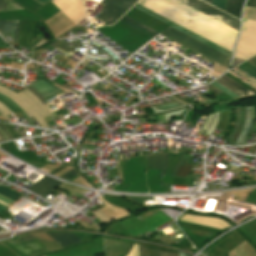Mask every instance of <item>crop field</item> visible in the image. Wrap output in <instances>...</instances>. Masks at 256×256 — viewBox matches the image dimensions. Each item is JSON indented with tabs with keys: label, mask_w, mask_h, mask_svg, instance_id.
Instances as JSON below:
<instances>
[{
	"label": "crop field",
	"mask_w": 256,
	"mask_h": 256,
	"mask_svg": "<svg viewBox=\"0 0 256 256\" xmlns=\"http://www.w3.org/2000/svg\"><path fill=\"white\" fill-rule=\"evenodd\" d=\"M0 92L8 96L14 102H16L26 113L29 117L33 116L37 122L40 124L41 127L49 128L45 121L41 118L52 116L50 111L43 105V103L36 98L33 94H31L26 88L20 91L17 95L16 93L12 92L11 90L1 87ZM37 110L39 115L30 104Z\"/></svg>",
	"instance_id": "obj_1"
},
{
	"label": "crop field",
	"mask_w": 256,
	"mask_h": 256,
	"mask_svg": "<svg viewBox=\"0 0 256 256\" xmlns=\"http://www.w3.org/2000/svg\"><path fill=\"white\" fill-rule=\"evenodd\" d=\"M160 33H162V34L182 43L183 45L205 55L206 57L228 67L230 57L182 34L181 32L168 26Z\"/></svg>",
	"instance_id": "obj_2"
},
{
	"label": "crop field",
	"mask_w": 256,
	"mask_h": 256,
	"mask_svg": "<svg viewBox=\"0 0 256 256\" xmlns=\"http://www.w3.org/2000/svg\"><path fill=\"white\" fill-rule=\"evenodd\" d=\"M84 1V0H83ZM137 0H103L107 3L96 19L112 24Z\"/></svg>",
	"instance_id": "obj_3"
},
{
	"label": "crop field",
	"mask_w": 256,
	"mask_h": 256,
	"mask_svg": "<svg viewBox=\"0 0 256 256\" xmlns=\"http://www.w3.org/2000/svg\"><path fill=\"white\" fill-rule=\"evenodd\" d=\"M183 3L209 15L210 17L238 30L239 29V21L214 9L213 7L199 1V0H180Z\"/></svg>",
	"instance_id": "obj_4"
},
{
	"label": "crop field",
	"mask_w": 256,
	"mask_h": 256,
	"mask_svg": "<svg viewBox=\"0 0 256 256\" xmlns=\"http://www.w3.org/2000/svg\"><path fill=\"white\" fill-rule=\"evenodd\" d=\"M134 8H136L137 10H139V11H141V12H143V13H145V14H147V15H149V16H151V17H153V18H155V19H157V20H159V21H161V22H163V23H165V24H167V25H169V26H171V27H173V28L191 36V37H193V38H195V39H197V40H199V41H201L202 43H204V44H206V45H208V46H210V47H212V48H214V49H216V50H218V51H220V52H222V53H224L228 56L231 55V52H229V51H227V50H225V49H223V48H221V47H219V46H217V45H215V44H213V43H211V42H209V41H207L203 38H201L200 36H198V35L190 32V31H188V30H186V29L168 21L167 19H165V18H163V17H161V16H159V15H157V14H155V13L137 5V4L134 6Z\"/></svg>",
	"instance_id": "obj_5"
},
{
	"label": "crop field",
	"mask_w": 256,
	"mask_h": 256,
	"mask_svg": "<svg viewBox=\"0 0 256 256\" xmlns=\"http://www.w3.org/2000/svg\"><path fill=\"white\" fill-rule=\"evenodd\" d=\"M61 184L63 183L45 176L41 180H39L37 183L29 187L27 190L42 197Z\"/></svg>",
	"instance_id": "obj_6"
},
{
	"label": "crop field",
	"mask_w": 256,
	"mask_h": 256,
	"mask_svg": "<svg viewBox=\"0 0 256 256\" xmlns=\"http://www.w3.org/2000/svg\"><path fill=\"white\" fill-rule=\"evenodd\" d=\"M56 85L52 82H49L43 78H40L29 85L32 89L36 90L43 98L56 93L62 89L54 87Z\"/></svg>",
	"instance_id": "obj_7"
},
{
	"label": "crop field",
	"mask_w": 256,
	"mask_h": 256,
	"mask_svg": "<svg viewBox=\"0 0 256 256\" xmlns=\"http://www.w3.org/2000/svg\"><path fill=\"white\" fill-rule=\"evenodd\" d=\"M245 110H246V122L235 145H244L253 128V123H254L253 107H245Z\"/></svg>",
	"instance_id": "obj_8"
},
{
	"label": "crop field",
	"mask_w": 256,
	"mask_h": 256,
	"mask_svg": "<svg viewBox=\"0 0 256 256\" xmlns=\"http://www.w3.org/2000/svg\"><path fill=\"white\" fill-rule=\"evenodd\" d=\"M8 242L11 243L13 246H16V245L22 246V245L37 242L38 244H40L43 247V248L35 250V251L31 250L29 247H26L24 249L29 248L33 253H31L29 255H26L24 252H22V254L25 255V256H33V255H37V254H40V253H43V252L50 251L44 244H42L32 234L20 237V238L14 240V241L8 240Z\"/></svg>",
	"instance_id": "obj_9"
},
{
	"label": "crop field",
	"mask_w": 256,
	"mask_h": 256,
	"mask_svg": "<svg viewBox=\"0 0 256 256\" xmlns=\"http://www.w3.org/2000/svg\"><path fill=\"white\" fill-rule=\"evenodd\" d=\"M18 25L19 21H0V33L4 37L9 35L14 43H18Z\"/></svg>",
	"instance_id": "obj_10"
},
{
	"label": "crop field",
	"mask_w": 256,
	"mask_h": 256,
	"mask_svg": "<svg viewBox=\"0 0 256 256\" xmlns=\"http://www.w3.org/2000/svg\"><path fill=\"white\" fill-rule=\"evenodd\" d=\"M47 234L51 236L62 247L81 242L79 238H77L74 234H71V233H47Z\"/></svg>",
	"instance_id": "obj_11"
},
{
	"label": "crop field",
	"mask_w": 256,
	"mask_h": 256,
	"mask_svg": "<svg viewBox=\"0 0 256 256\" xmlns=\"http://www.w3.org/2000/svg\"><path fill=\"white\" fill-rule=\"evenodd\" d=\"M119 21L135 28L136 30H138V31H140V32L152 37V38L159 33V32H157V31H155V30H153V29H151V28H149V27H147V26H145V25H143V24L127 17V16H125V15Z\"/></svg>",
	"instance_id": "obj_12"
},
{
	"label": "crop field",
	"mask_w": 256,
	"mask_h": 256,
	"mask_svg": "<svg viewBox=\"0 0 256 256\" xmlns=\"http://www.w3.org/2000/svg\"><path fill=\"white\" fill-rule=\"evenodd\" d=\"M140 256H188L183 253H172V252H164L158 250H151L147 248H143L139 246Z\"/></svg>",
	"instance_id": "obj_13"
},
{
	"label": "crop field",
	"mask_w": 256,
	"mask_h": 256,
	"mask_svg": "<svg viewBox=\"0 0 256 256\" xmlns=\"http://www.w3.org/2000/svg\"><path fill=\"white\" fill-rule=\"evenodd\" d=\"M0 101L2 103H4L13 113L19 111L27 119V121L30 123V125H34V123L31 121V119L12 100H10L6 96L0 94Z\"/></svg>",
	"instance_id": "obj_14"
},
{
	"label": "crop field",
	"mask_w": 256,
	"mask_h": 256,
	"mask_svg": "<svg viewBox=\"0 0 256 256\" xmlns=\"http://www.w3.org/2000/svg\"><path fill=\"white\" fill-rule=\"evenodd\" d=\"M244 0H227L226 12L240 17L241 7Z\"/></svg>",
	"instance_id": "obj_15"
},
{
	"label": "crop field",
	"mask_w": 256,
	"mask_h": 256,
	"mask_svg": "<svg viewBox=\"0 0 256 256\" xmlns=\"http://www.w3.org/2000/svg\"><path fill=\"white\" fill-rule=\"evenodd\" d=\"M218 80H220V81H222V82L228 84L229 86H231V87L237 89L238 91H240V92H242V93H244V94H246V95H251V94H252V93L249 92L247 89H245L244 87H242V86L236 84L237 82L235 83L234 81H232L229 77H227V76H225V75L222 76V77H221L220 79H218Z\"/></svg>",
	"instance_id": "obj_16"
},
{
	"label": "crop field",
	"mask_w": 256,
	"mask_h": 256,
	"mask_svg": "<svg viewBox=\"0 0 256 256\" xmlns=\"http://www.w3.org/2000/svg\"><path fill=\"white\" fill-rule=\"evenodd\" d=\"M22 9L19 5L13 3L10 0H0V11Z\"/></svg>",
	"instance_id": "obj_17"
},
{
	"label": "crop field",
	"mask_w": 256,
	"mask_h": 256,
	"mask_svg": "<svg viewBox=\"0 0 256 256\" xmlns=\"http://www.w3.org/2000/svg\"><path fill=\"white\" fill-rule=\"evenodd\" d=\"M237 67H239L240 69H242L243 71H245L250 76L256 79V67L251 65L249 62L246 61Z\"/></svg>",
	"instance_id": "obj_18"
},
{
	"label": "crop field",
	"mask_w": 256,
	"mask_h": 256,
	"mask_svg": "<svg viewBox=\"0 0 256 256\" xmlns=\"http://www.w3.org/2000/svg\"><path fill=\"white\" fill-rule=\"evenodd\" d=\"M0 194L14 200L16 199L18 196H20V194L6 188V187H0ZM15 201V200H14Z\"/></svg>",
	"instance_id": "obj_19"
},
{
	"label": "crop field",
	"mask_w": 256,
	"mask_h": 256,
	"mask_svg": "<svg viewBox=\"0 0 256 256\" xmlns=\"http://www.w3.org/2000/svg\"><path fill=\"white\" fill-rule=\"evenodd\" d=\"M163 154L159 156H152V168L162 170Z\"/></svg>",
	"instance_id": "obj_20"
},
{
	"label": "crop field",
	"mask_w": 256,
	"mask_h": 256,
	"mask_svg": "<svg viewBox=\"0 0 256 256\" xmlns=\"http://www.w3.org/2000/svg\"><path fill=\"white\" fill-rule=\"evenodd\" d=\"M49 46H52V47H54V48H60V49H62V50H64V51H66V52H73V53H75V52H77V51H75V50H73V49H71L70 47H68V46H66V45H64L63 43H61V42H59V41H57V40H55L52 44H50ZM70 52V54H73V53H71Z\"/></svg>",
	"instance_id": "obj_21"
},
{
	"label": "crop field",
	"mask_w": 256,
	"mask_h": 256,
	"mask_svg": "<svg viewBox=\"0 0 256 256\" xmlns=\"http://www.w3.org/2000/svg\"><path fill=\"white\" fill-rule=\"evenodd\" d=\"M180 105H184V104L175 100V101L167 102V103H164V104H161V105H156L154 107L159 108V109H169V108L180 106Z\"/></svg>",
	"instance_id": "obj_22"
},
{
	"label": "crop field",
	"mask_w": 256,
	"mask_h": 256,
	"mask_svg": "<svg viewBox=\"0 0 256 256\" xmlns=\"http://www.w3.org/2000/svg\"><path fill=\"white\" fill-rule=\"evenodd\" d=\"M0 114L3 115L7 121H11L6 115L12 114V112L0 102ZM12 122V121H11Z\"/></svg>",
	"instance_id": "obj_23"
},
{
	"label": "crop field",
	"mask_w": 256,
	"mask_h": 256,
	"mask_svg": "<svg viewBox=\"0 0 256 256\" xmlns=\"http://www.w3.org/2000/svg\"><path fill=\"white\" fill-rule=\"evenodd\" d=\"M95 216H97L104 224L111 221L102 211L98 210L93 213Z\"/></svg>",
	"instance_id": "obj_24"
},
{
	"label": "crop field",
	"mask_w": 256,
	"mask_h": 256,
	"mask_svg": "<svg viewBox=\"0 0 256 256\" xmlns=\"http://www.w3.org/2000/svg\"><path fill=\"white\" fill-rule=\"evenodd\" d=\"M245 10H247V11H253V12H256V9H254V8H248V7H246V9H245ZM247 11H245L244 15H246V16L256 17V13H253V12H247ZM246 16H244L243 18H245V19H251V20H256V18L246 17Z\"/></svg>",
	"instance_id": "obj_25"
},
{
	"label": "crop field",
	"mask_w": 256,
	"mask_h": 256,
	"mask_svg": "<svg viewBox=\"0 0 256 256\" xmlns=\"http://www.w3.org/2000/svg\"><path fill=\"white\" fill-rule=\"evenodd\" d=\"M237 110V121H236V124L234 126V129L232 131V133L230 134L229 138L232 139V137L234 136L238 126H239V119H240V108H236Z\"/></svg>",
	"instance_id": "obj_26"
},
{
	"label": "crop field",
	"mask_w": 256,
	"mask_h": 256,
	"mask_svg": "<svg viewBox=\"0 0 256 256\" xmlns=\"http://www.w3.org/2000/svg\"><path fill=\"white\" fill-rule=\"evenodd\" d=\"M226 0H213V5L225 10Z\"/></svg>",
	"instance_id": "obj_27"
},
{
	"label": "crop field",
	"mask_w": 256,
	"mask_h": 256,
	"mask_svg": "<svg viewBox=\"0 0 256 256\" xmlns=\"http://www.w3.org/2000/svg\"><path fill=\"white\" fill-rule=\"evenodd\" d=\"M76 175H78V174L73 169V170L69 171L68 173L64 174L63 176H61L60 178H64V179L69 180V179L73 178Z\"/></svg>",
	"instance_id": "obj_28"
},
{
	"label": "crop field",
	"mask_w": 256,
	"mask_h": 256,
	"mask_svg": "<svg viewBox=\"0 0 256 256\" xmlns=\"http://www.w3.org/2000/svg\"><path fill=\"white\" fill-rule=\"evenodd\" d=\"M216 81H217L219 84H221L222 86H224V87L228 88L229 90L233 91V92H234L235 94H237L239 97L245 96V95L239 93L237 90H235V89H233V88L227 86L226 84H224V83H222V82H220V81H218V80H216Z\"/></svg>",
	"instance_id": "obj_29"
},
{
	"label": "crop field",
	"mask_w": 256,
	"mask_h": 256,
	"mask_svg": "<svg viewBox=\"0 0 256 256\" xmlns=\"http://www.w3.org/2000/svg\"><path fill=\"white\" fill-rule=\"evenodd\" d=\"M11 202H12V200L0 195V203L8 206Z\"/></svg>",
	"instance_id": "obj_30"
},
{
	"label": "crop field",
	"mask_w": 256,
	"mask_h": 256,
	"mask_svg": "<svg viewBox=\"0 0 256 256\" xmlns=\"http://www.w3.org/2000/svg\"><path fill=\"white\" fill-rule=\"evenodd\" d=\"M132 254H133V256H139V250H138L137 245H134V247L132 249ZM132 254L130 253L128 256H132Z\"/></svg>",
	"instance_id": "obj_31"
},
{
	"label": "crop field",
	"mask_w": 256,
	"mask_h": 256,
	"mask_svg": "<svg viewBox=\"0 0 256 256\" xmlns=\"http://www.w3.org/2000/svg\"><path fill=\"white\" fill-rule=\"evenodd\" d=\"M30 92H32L36 97H38L42 102H44V99L35 91H33L29 86L26 87Z\"/></svg>",
	"instance_id": "obj_32"
},
{
	"label": "crop field",
	"mask_w": 256,
	"mask_h": 256,
	"mask_svg": "<svg viewBox=\"0 0 256 256\" xmlns=\"http://www.w3.org/2000/svg\"><path fill=\"white\" fill-rule=\"evenodd\" d=\"M205 87H207V88H209L210 90H212V91H214L215 93H220V92H222V91H220V90H218L217 88H215L214 86H212V85H207V86H205Z\"/></svg>",
	"instance_id": "obj_33"
},
{
	"label": "crop field",
	"mask_w": 256,
	"mask_h": 256,
	"mask_svg": "<svg viewBox=\"0 0 256 256\" xmlns=\"http://www.w3.org/2000/svg\"><path fill=\"white\" fill-rule=\"evenodd\" d=\"M246 5L256 7V0H248Z\"/></svg>",
	"instance_id": "obj_34"
},
{
	"label": "crop field",
	"mask_w": 256,
	"mask_h": 256,
	"mask_svg": "<svg viewBox=\"0 0 256 256\" xmlns=\"http://www.w3.org/2000/svg\"><path fill=\"white\" fill-rule=\"evenodd\" d=\"M0 127L2 128V130L7 134L9 140H12V137L10 136V134L8 133V131L6 130V128L0 123Z\"/></svg>",
	"instance_id": "obj_35"
},
{
	"label": "crop field",
	"mask_w": 256,
	"mask_h": 256,
	"mask_svg": "<svg viewBox=\"0 0 256 256\" xmlns=\"http://www.w3.org/2000/svg\"><path fill=\"white\" fill-rule=\"evenodd\" d=\"M241 62H243V60H239V59H235V58H234L233 66H232V67H234V66L240 64Z\"/></svg>",
	"instance_id": "obj_36"
},
{
	"label": "crop field",
	"mask_w": 256,
	"mask_h": 256,
	"mask_svg": "<svg viewBox=\"0 0 256 256\" xmlns=\"http://www.w3.org/2000/svg\"><path fill=\"white\" fill-rule=\"evenodd\" d=\"M247 61H249L251 64H253L254 66H256V56L255 57H253V58H251V59H249V60H247Z\"/></svg>",
	"instance_id": "obj_37"
},
{
	"label": "crop field",
	"mask_w": 256,
	"mask_h": 256,
	"mask_svg": "<svg viewBox=\"0 0 256 256\" xmlns=\"http://www.w3.org/2000/svg\"><path fill=\"white\" fill-rule=\"evenodd\" d=\"M167 157H168V152L165 153V165H164V173L166 172V166H167Z\"/></svg>",
	"instance_id": "obj_38"
},
{
	"label": "crop field",
	"mask_w": 256,
	"mask_h": 256,
	"mask_svg": "<svg viewBox=\"0 0 256 256\" xmlns=\"http://www.w3.org/2000/svg\"><path fill=\"white\" fill-rule=\"evenodd\" d=\"M62 93H64V92L61 91V92H59V93L53 94V95H51V96L45 98V100H47V99H49V98H52V97H54V96H57V95H59V94H62Z\"/></svg>",
	"instance_id": "obj_39"
},
{
	"label": "crop field",
	"mask_w": 256,
	"mask_h": 256,
	"mask_svg": "<svg viewBox=\"0 0 256 256\" xmlns=\"http://www.w3.org/2000/svg\"><path fill=\"white\" fill-rule=\"evenodd\" d=\"M35 1H37L38 3H40V4H45L46 2H48L49 0H35Z\"/></svg>",
	"instance_id": "obj_40"
},
{
	"label": "crop field",
	"mask_w": 256,
	"mask_h": 256,
	"mask_svg": "<svg viewBox=\"0 0 256 256\" xmlns=\"http://www.w3.org/2000/svg\"><path fill=\"white\" fill-rule=\"evenodd\" d=\"M148 168H151V156H148Z\"/></svg>",
	"instance_id": "obj_41"
},
{
	"label": "crop field",
	"mask_w": 256,
	"mask_h": 256,
	"mask_svg": "<svg viewBox=\"0 0 256 256\" xmlns=\"http://www.w3.org/2000/svg\"><path fill=\"white\" fill-rule=\"evenodd\" d=\"M1 134L4 136L5 140L8 141V138L6 137L5 133L0 129Z\"/></svg>",
	"instance_id": "obj_42"
},
{
	"label": "crop field",
	"mask_w": 256,
	"mask_h": 256,
	"mask_svg": "<svg viewBox=\"0 0 256 256\" xmlns=\"http://www.w3.org/2000/svg\"><path fill=\"white\" fill-rule=\"evenodd\" d=\"M186 215V214H185ZM184 216V215H183ZM183 216H181V218L183 217ZM205 217H207V216H205ZM181 218H180V220H181ZM210 218H216V217H210ZM216 219H221V218H216ZM221 220H223V219H221ZM225 221V220H224ZM227 222V221H226ZM229 227H231V225L229 224ZM228 228V227H227ZM225 229V228H224Z\"/></svg>",
	"instance_id": "obj_43"
},
{
	"label": "crop field",
	"mask_w": 256,
	"mask_h": 256,
	"mask_svg": "<svg viewBox=\"0 0 256 256\" xmlns=\"http://www.w3.org/2000/svg\"><path fill=\"white\" fill-rule=\"evenodd\" d=\"M184 154H185V152H184ZM184 154H183V156H184ZM183 156H182V158H183ZM182 158H181V160H182ZM181 160H180V162H181ZM180 162H179V164H180ZM179 164H178V165H179ZM178 165H177V167H178ZM177 167H176V169H177ZM176 169H175V171H176ZM175 171H174V173H175ZM174 173H173V175H174ZM173 175H172V176H173Z\"/></svg>",
	"instance_id": "obj_44"
},
{
	"label": "crop field",
	"mask_w": 256,
	"mask_h": 256,
	"mask_svg": "<svg viewBox=\"0 0 256 256\" xmlns=\"http://www.w3.org/2000/svg\"><path fill=\"white\" fill-rule=\"evenodd\" d=\"M0 142H4V139L1 134H0Z\"/></svg>",
	"instance_id": "obj_45"
},
{
	"label": "crop field",
	"mask_w": 256,
	"mask_h": 256,
	"mask_svg": "<svg viewBox=\"0 0 256 256\" xmlns=\"http://www.w3.org/2000/svg\"><path fill=\"white\" fill-rule=\"evenodd\" d=\"M0 208L4 209V208H6V206L0 204Z\"/></svg>",
	"instance_id": "obj_46"
},
{
	"label": "crop field",
	"mask_w": 256,
	"mask_h": 256,
	"mask_svg": "<svg viewBox=\"0 0 256 256\" xmlns=\"http://www.w3.org/2000/svg\"><path fill=\"white\" fill-rule=\"evenodd\" d=\"M0 47H6V45H0Z\"/></svg>",
	"instance_id": "obj_47"
},
{
	"label": "crop field",
	"mask_w": 256,
	"mask_h": 256,
	"mask_svg": "<svg viewBox=\"0 0 256 256\" xmlns=\"http://www.w3.org/2000/svg\"><path fill=\"white\" fill-rule=\"evenodd\" d=\"M206 1H208V2L212 3V0H206Z\"/></svg>",
	"instance_id": "obj_48"
},
{
	"label": "crop field",
	"mask_w": 256,
	"mask_h": 256,
	"mask_svg": "<svg viewBox=\"0 0 256 256\" xmlns=\"http://www.w3.org/2000/svg\"><path fill=\"white\" fill-rule=\"evenodd\" d=\"M0 42H3V41L0 39Z\"/></svg>",
	"instance_id": "obj_49"
},
{
	"label": "crop field",
	"mask_w": 256,
	"mask_h": 256,
	"mask_svg": "<svg viewBox=\"0 0 256 256\" xmlns=\"http://www.w3.org/2000/svg\"><path fill=\"white\" fill-rule=\"evenodd\" d=\"M2 209H0V211H1Z\"/></svg>",
	"instance_id": "obj_50"
}]
</instances>
